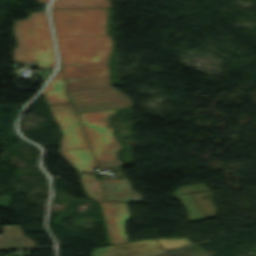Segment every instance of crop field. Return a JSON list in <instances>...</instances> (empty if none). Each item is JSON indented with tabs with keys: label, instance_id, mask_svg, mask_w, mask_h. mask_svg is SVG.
Masks as SVG:
<instances>
[{
	"label": "crop field",
	"instance_id": "obj_1",
	"mask_svg": "<svg viewBox=\"0 0 256 256\" xmlns=\"http://www.w3.org/2000/svg\"><path fill=\"white\" fill-rule=\"evenodd\" d=\"M68 90L110 86L106 8L52 9Z\"/></svg>",
	"mask_w": 256,
	"mask_h": 256
},
{
	"label": "crop field",
	"instance_id": "obj_2",
	"mask_svg": "<svg viewBox=\"0 0 256 256\" xmlns=\"http://www.w3.org/2000/svg\"><path fill=\"white\" fill-rule=\"evenodd\" d=\"M14 32L18 43L13 49L16 63L37 61L41 69L55 66L45 11L32 12L28 18L15 21Z\"/></svg>",
	"mask_w": 256,
	"mask_h": 256
},
{
	"label": "crop field",
	"instance_id": "obj_3",
	"mask_svg": "<svg viewBox=\"0 0 256 256\" xmlns=\"http://www.w3.org/2000/svg\"><path fill=\"white\" fill-rule=\"evenodd\" d=\"M114 111L116 109L78 114L93 149L98 167L118 165L116 151L121 146L112 135L113 128L107 124V118ZM98 160L115 161L98 162Z\"/></svg>",
	"mask_w": 256,
	"mask_h": 256
},
{
	"label": "crop field",
	"instance_id": "obj_4",
	"mask_svg": "<svg viewBox=\"0 0 256 256\" xmlns=\"http://www.w3.org/2000/svg\"><path fill=\"white\" fill-rule=\"evenodd\" d=\"M68 93L77 113L131 106V100L113 87Z\"/></svg>",
	"mask_w": 256,
	"mask_h": 256
},
{
	"label": "crop field",
	"instance_id": "obj_5",
	"mask_svg": "<svg viewBox=\"0 0 256 256\" xmlns=\"http://www.w3.org/2000/svg\"><path fill=\"white\" fill-rule=\"evenodd\" d=\"M61 129L63 150L88 147L75 113L70 104L49 106Z\"/></svg>",
	"mask_w": 256,
	"mask_h": 256
},
{
	"label": "crop field",
	"instance_id": "obj_6",
	"mask_svg": "<svg viewBox=\"0 0 256 256\" xmlns=\"http://www.w3.org/2000/svg\"><path fill=\"white\" fill-rule=\"evenodd\" d=\"M206 190L207 192L177 196L176 194ZM179 199L188 211L189 221L216 216V210L211 202V193L204 184L181 187L173 195ZM207 197V199H202Z\"/></svg>",
	"mask_w": 256,
	"mask_h": 256
},
{
	"label": "crop field",
	"instance_id": "obj_7",
	"mask_svg": "<svg viewBox=\"0 0 256 256\" xmlns=\"http://www.w3.org/2000/svg\"><path fill=\"white\" fill-rule=\"evenodd\" d=\"M108 235L112 244L129 242L124 231V223L130 218L125 203L100 202Z\"/></svg>",
	"mask_w": 256,
	"mask_h": 256
},
{
	"label": "crop field",
	"instance_id": "obj_8",
	"mask_svg": "<svg viewBox=\"0 0 256 256\" xmlns=\"http://www.w3.org/2000/svg\"><path fill=\"white\" fill-rule=\"evenodd\" d=\"M163 249L155 240L147 239L93 249L92 256H144Z\"/></svg>",
	"mask_w": 256,
	"mask_h": 256
},
{
	"label": "crop field",
	"instance_id": "obj_9",
	"mask_svg": "<svg viewBox=\"0 0 256 256\" xmlns=\"http://www.w3.org/2000/svg\"><path fill=\"white\" fill-rule=\"evenodd\" d=\"M101 181L105 189L104 201H142L141 196L131 190L127 179Z\"/></svg>",
	"mask_w": 256,
	"mask_h": 256
},
{
	"label": "crop field",
	"instance_id": "obj_10",
	"mask_svg": "<svg viewBox=\"0 0 256 256\" xmlns=\"http://www.w3.org/2000/svg\"><path fill=\"white\" fill-rule=\"evenodd\" d=\"M31 247H35L34 243L23 236L21 225L4 226V231L0 235V249Z\"/></svg>",
	"mask_w": 256,
	"mask_h": 256
},
{
	"label": "crop field",
	"instance_id": "obj_11",
	"mask_svg": "<svg viewBox=\"0 0 256 256\" xmlns=\"http://www.w3.org/2000/svg\"><path fill=\"white\" fill-rule=\"evenodd\" d=\"M60 153L78 172H91L92 167L96 165L89 148L60 151Z\"/></svg>",
	"mask_w": 256,
	"mask_h": 256
},
{
	"label": "crop field",
	"instance_id": "obj_12",
	"mask_svg": "<svg viewBox=\"0 0 256 256\" xmlns=\"http://www.w3.org/2000/svg\"><path fill=\"white\" fill-rule=\"evenodd\" d=\"M49 104L69 102L66 96L65 88L62 83L61 71L57 70L53 79L43 90Z\"/></svg>",
	"mask_w": 256,
	"mask_h": 256
},
{
	"label": "crop field",
	"instance_id": "obj_13",
	"mask_svg": "<svg viewBox=\"0 0 256 256\" xmlns=\"http://www.w3.org/2000/svg\"><path fill=\"white\" fill-rule=\"evenodd\" d=\"M108 0H53L51 8L109 7Z\"/></svg>",
	"mask_w": 256,
	"mask_h": 256
},
{
	"label": "crop field",
	"instance_id": "obj_14",
	"mask_svg": "<svg viewBox=\"0 0 256 256\" xmlns=\"http://www.w3.org/2000/svg\"><path fill=\"white\" fill-rule=\"evenodd\" d=\"M82 178V185L89 198L97 201H102L103 190L99 179H94L93 174L80 175Z\"/></svg>",
	"mask_w": 256,
	"mask_h": 256
},
{
	"label": "crop field",
	"instance_id": "obj_15",
	"mask_svg": "<svg viewBox=\"0 0 256 256\" xmlns=\"http://www.w3.org/2000/svg\"><path fill=\"white\" fill-rule=\"evenodd\" d=\"M161 246L165 249H174L186 245L192 244L190 241H188L186 238H176V239H156Z\"/></svg>",
	"mask_w": 256,
	"mask_h": 256
},
{
	"label": "crop field",
	"instance_id": "obj_16",
	"mask_svg": "<svg viewBox=\"0 0 256 256\" xmlns=\"http://www.w3.org/2000/svg\"><path fill=\"white\" fill-rule=\"evenodd\" d=\"M153 256H171V255L165 252V253H161Z\"/></svg>",
	"mask_w": 256,
	"mask_h": 256
},
{
	"label": "crop field",
	"instance_id": "obj_17",
	"mask_svg": "<svg viewBox=\"0 0 256 256\" xmlns=\"http://www.w3.org/2000/svg\"><path fill=\"white\" fill-rule=\"evenodd\" d=\"M39 1L46 5L49 0H39Z\"/></svg>",
	"mask_w": 256,
	"mask_h": 256
}]
</instances>
